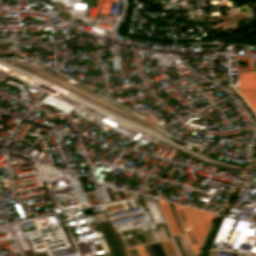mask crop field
<instances>
[{
  "label": "crop field",
  "mask_w": 256,
  "mask_h": 256,
  "mask_svg": "<svg viewBox=\"0 0 256 256\" xmlns=\"http://www.w3.org/2000/svg\"><path fill=\"white\" fill-rule=\"evenodd\" d=\"M190 225L202 244L214 214L185 207Z\"/></svg>",
  "instance_id": "obj_1"
},
{
  "label": "crop field",
  "mask_w": 256,
  "mask_h": 256,
  "mask_svg": "<svg viewBox=\"0 0 256 256\" xmlns=\"http://www.w3.org/2000/svg\"><path fill=\"white\" fill-rule=\"evenodd\" d=\"M239 93L243 95L256 112V71L237 72Z\"/></svg>",
  "instance_id": "obj_2"
},
{
  "label": "crop field",
  "mask_w": 256,
  "mask_h": 256,
  "mask_svg": "<svg viewBox=\"0 0 256 256\" xmlns=\"http://www.w3.org/2000/svg\"><path fill=\"white\" fill-rule=\"evenodd\" d=\"M158 201H159V203L161 205V208L164 212V215H165L166 220L169 224V227L171 229L172 234L175 235V234L181 233L180 230H179V227L177 225V222L175 220V217L172 213V210L170 208L169 203L166 202V201H160V200H158Z\"/></svg>",
  "instance_id": "obj_3"
}]
</instances>
